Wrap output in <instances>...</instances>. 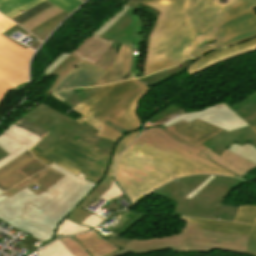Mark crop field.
Instances as JSON below:
<instances>
[{
    "mask_svg": "<svg viewBox=\"0 0 256 256\" xmlns=\"http://www.w3.org/2000/svg\"><path fill=\"white\" fill-rule=\"evenodd\" d=\"M220 132L227 133L199 119L147 129L117 159L116 179L135 203L178 177L202 173L239 177L196 155L207 148L201 142Z\"/></svg>",
    "mask_w": 256,
    "mask_h": 256,
    "instance_id": "obj_1",
    "label": "crop field"
},
{
    "mask_svg": "<svg viewBox=\"0 0 256 256\" xmlns=\"http://www.w3.org/2000/svg\"><path fill=\"white\" fill-rule=\"evenodd\" d=\"M49 167L65 176L40 195L27 187L9 199L0 195V220L45 243L93 229L103 218L84 209L97 197L109 201L124 193L114 178L104 176L96 185L81 173L77 177L55 164Z\"/></svg>",
    "mask_w": 256,
    "mask_h": 256,
    "instance_id": "obj_2",
    "label": "crop field"
},
{
    "mask_svg": "<svg viewBox=\"0 0 256 256\" xmlns=\"http://www.w3.org/2000/svg\"><path fill=\"white\" fill-rule=\"evenodd\" d=\"M142 2L161 11L150 36L144 76L182 62L197 46L214 40L221 24L256 8V0Z\"/></svg>",
    "mask_w": 256,
    "mask_h": 256,
    "instance_id": "obj_3",
    "label": "crop field"
},
{
    "mask_svg": "<svg viewBox=\"0 0 256 256\" xmlns=\"http://www.w3.org/2000/svg\"><path fill=\"white\" fill-rule=\"evenodd\" d=\"M148 90L149 87L137 79L103 86L73 108L82 114L76 121H84L98 130L101 128L99 136L117 142L123 135L103 123L108 120L130 132L139 130L137 104Z\"/></svg>",
    "mask_w": 256,
    "mask_h": 256,
    "instance_id": "obj_4",
    "label": "crop field"
},
{
    "mask_svg": "<svg viewBox=\"0 0 256 256\" xmlns=\"http://www.w3.org/2000/svg\"><path fill=\"white\" fill-rule=\"evenodd\" d=\"M203 176V178H201ZM210 175H194L177 179L162 187L155 194L177 202L173 213L203 217L207 219H217L232 221L237 207L219 204L221 200L236 186L244 181L226 176L214 177L200 192L193 198L207 200L203 202L184 198ZM223 201V200H222Z\"/></svg>",
    "mask_w": 256,
    "mask_h": 256,
    "instance_id": "obj_5",
    "label": "crop field"
},
{
    "mask_svg": "<svg viewBox=\"0 0 256 256\" xmlns=\"http://www.w3.org/2000/svg\"><path fill=\"white\" fill-rule=\"evenodd\" d=\"M142 131L143 129L123 136L117 142L112 157L98 153L96 151L99 149L79 139L76 141L66 135L43 152L35 147L30 149V151L35 157L47 165L54 162L75 175H78L80 171L87 180L98 184L104 175L114 176L116 157L119 156Z\"/></svg>",
    "mask_w": 256,
    "mask_h": 256,
    "instance_id": "obj_6",
    "label": "crop field"
},
{
    "mask_svg": "<svg viewBox=\"0 0 256 256\" xmlns=\"http://www.w3.org/2000/svg\"><path fill=\"white\" fill-rule=\"evenodd\" d=\"M198 226L186 222L184 230L177 235L149 240H132L123 249L136 254L167 248L174 252H205L217 249L245 253L249 236L210 232L198 229Z\"/></svg>",
    "mask_w": 256,
    "mask_h": 256,
    "instance_id": "obj_7",
    "label": "crop field"
},
{
    "mask_svg": "<svg viewBox=\"0 0 256 256\" xmlns=\"http://www.w3.org/2000/svg\"><path fill=\"white\" fill-rule=\"evenodd\" d=\"M23 117L50 131L49 134L35 146L42 151L60 140L59 138L65 134L76 140L80 138L100 148L98 152L105 153L109 156H111L114 151L116 143L96 136L98 130L84 122L79 124L75 120L43 103L38 104Z\"/></svg>",
    "mask_w": 256,
    "mask_h": 256,
    "instance_id": "obj_8",
    "label": "crop field"
},
{
    "mask_svg": "<svg viewBox=\"0 0 256 256\" xmlns=\"http://www.w3.org/2000/svg\"><path fill=\"white\" fill-rule=\"evenodd\" d=\"M128 9L129 8L125 5L91 37L85 39L71 54L63 53L61 57L59 56L60 58L51 64L46 72L38 79L36 84L41 83L45 77L53 75L58 76L51 89L48 90V95L80 61L85 60L92 64L98 61L113 43L112 41H107L98 37L112 26Z\"/></svg>",
    "mask_w": 256,
    "mask_h": 256,
    "instance_id": "obj_9",
    "label": "crop field"
},
{
    "mask_svg": "<svg viewBox=\"0 0 256 256\" xmlns=\"http://www.w3.org/2000/svg\"><path fill=\"white\" fill-rule=\"evenodd\" d=\"M14 22L0 14V30ZM33 51L25 49L0 33V81L13 85H18L27 81L28 63L33 55ZM12 86L0 82V103L8 89Z\"/></svg>",
    "mask_w": 256,
    "mask_h": 256,
    "instance_id": "obj_10",
    "label": "crop field"
},
{
    "mask_svg": "<svg viewBox=\"0 0 256 256\" xmlns=\"http://www.w3.org/2000/svg\"><path fill=\"white\" fill-rule=\"evenodd\" d=\"M256 36V12L252 10L223 25L217 31V41L209 45H202L192 51L187 57H199L202 54L220 46L226 47L239 43L247 38ZM186 57V58H187Z\"/></svg>",
    "mask_w": 256,
    "mask_h": 256,
    "instance_id": "obj_11",
    "label": "crop field"
},
{
    "mask_svg": "<svg viewBox=\"0 0 256 256\" xmlns=\"http://www.w3.org/2000/svg\"><path fill=\"white\" fill-rule=\"evenodd\" d=\"M181 219L200 224L199 228L211 231L250 235L246 253L256 256V206L240 207L233 220L234 222L250 223V225L202 220L191 217H181Z\"/></svg>",
    "mask_w": 256,
    "mask_h": 256,
    "instance_id": "obj_12",
    "label": "crop field"
},
{
    "mask_svg": "<svg viewBox=\"0 0 256 256\" xmlns=\"http://www.w3.org/2000/svg\"><path fill=\"white\" fill-rule=\"evenodd\" d=\"M135 10L129 9L117 23L110 27L100 37L120 42L123 44H129L132 52V67L130 73L138 76V61L140 55V36L143 30L141 18L135 16ZM134 50H137L138 55H133Z\"/></svg>",
    "mask_w": 256,
    "mask_h": 256,
    "instance_id": "obj_13",
    "label": "crop field"
},
{
    "mask_svg": "<svg viewBox=\"0 0 256 256\" xmlns=\"http://www.w3.org/2000/svg\"><path fill=\"white\" fill-rule=\"evenodd\" d=\"M196 118L219 126L227 131L247 126V124L240 119L225 103H221L195 113H187L176 116L165 122L163 125L168 127L182 119L188 123Z\"/></svg>",
    "mask_w": 256,
    "mask_h": 256,
    "instance_id": "obj_14",
    "label": "crop field"
},
{
    "mask_svg": "<svg viewBox=\"0 0 256 256\" xmlns=\"http://www.w3.org/2000/svg\"><path fill=\"white\" fill-rule=\"evenodd\" d=\"M41 139L43 138L12 123L0 135V148L10 154L0 161V168L21 155Z\"/></svg>",
    "mask_w": 256,
    "mask_h": 256,
    "instance_id": "obj_15",
    "label": "crop field"
},
{
    "mask_svg": "<svg viewBox=\"0 0 256 256\" xmlns=\"http://www.w3.org/2000/svg\"><path fill=\"white\" fill-rule=\"evenodd\" d=\"M256 50V37L224 49L211 51L194 61L186 70L190 76L221 61Z\"/></svg>",
    "mask_w": 256,
    "mask_h": 256,
    "instance_id": "obj_16",
    "label": "crop field"
},
{
    "mask_svg": "<svg viewBox=\"0 0 256 256\" xmlns=\"http://www.w3.org/2000/svg\"><path fill=\"white\" fill-rule=\"evenodd\" d=\"M106 72L107 71L99 67L81 62L74 68L69 76L61 82L54 93L70 87H90Z\"/></svg>",
    "mask_w": 256,
    "mask_h": 256,
    "instance_id": "obj_17",
    "label": "crop field"
},
{
    "mask_svg": "<svg viewBox=\"0 0 256 256\" xmlns=\"http://www.w3.org/2000/svg\"><path fill=\"white\" fill-rule=\"evenodd\" d=\"M45 0H0V12L10 19ZM68 13H72L80 4L79 0H47Z\"/></svg>",
    "mask_w": 256,
    "mask_h": 256,
    "instance_id": "obj_18",
    "label": "crop field"
},
{
    "mask_svg": "<svg viewBox=\"0 0 256 256\" xmlns=\"http://www.w3.org/2000/svg\"><path fill=\"white\" fill-rule=\"evenodd\" d=\"M235 141L241 145L248 141L256 146V134L249 126H247L228 132L227 134L220 133L202 144L211 148L216 154L221 155L222 151L227 149Z\"/></svg>",
    "mask_w": 256,
    "mask_h": 256,
    "instance_id": "obj_19",
    "label": "crop field"
},
{
    "mask_svg": "<svg viewBox=\"0 0 256 256\" xmlns=\"http://www.w3.org/2000/svg\"><path fill=\"white\" fill-rule=\"evenodd\" d=\"M198 155L213 161L223 168L241 176L248 170L256 167L255 164L225 150L221 157L217 156L213 152L210 151V149H206L203 152L199 153ZM232 164V166H231Z\"/></svg>",
    "mask_w": 256,
    "mask_h": 256,
    "instance_id": "obj_20",
    "label": "crop field"
},
{
    "mask_svg": "<svg viewBox=\"0 0 256 256\" xmlns=\"http://www.w3.org/2000/svg\"><path fill=\"white\" fill-rule=\"evenodd\" d=\"M34 158L35 157H33L29 151H26L24 154L0 169V188L3 191H6L24 180L26 177L16 173L15 171L23 167Z\"/></svg>",
    "mask_w": 256,
    "mask_h": 256,
    "instance_id": "obj_21",
    "label": "crop field"
},
{
    "mask_svg": "<svg viewBox=\"0 0 256 256\" xmlns=\"http://www.w3.org/2000/svg\"><path fill=\"white\" fill-rule=\"evenodd\" d=\"M63 175L57 173L56 171L52 170L51 168H47L46 171L39 172L29 178H31L35 183L41 186V188L37 190H33L31 187L36 185L33 182H31L29 179H26L25 181L19 183L17 186L9 189L4 195L11 197L17 192H19L24 187L30 188L34 193L37 195L40 194L42 191L46 190L48 187H50L52 184H54L57 180H59Z\"/></svg>",
    "mask_w": 256,
    "mask_h": 256,
    "instance_id": "obj_22",
    "label": "crop field"
},
{
    "mask_svg": "<svg viewBox=\"0 0 256 256\" xmlns=\"http://www.w3.org/2000/svg\"><path fill=\"white\" fill-rule=\"evenodd\" d=\"M75 237L92 256H105L119 250V248L103 241L95 230L75 235Z\"/></svg>",
    "mask_w": 256,
    "mask_h": 256,
    "instance_id": "obj_23",
    "label": "crop field"
},
{
    "mask_svg": "<svg viewBox=\"0 0 256 256\" xmlns=\"http://www.w3.org/2000/svg\"><path fill=\"white\" fill-rule=\"evenodd\" d=\"M131 67V53L129 51L128 45H123L114 63L108 68V70L116 73L111 80L106 84L114 83L117 81H122L128 74Z\"/></svg>",
    "mask_w": 256,
    "mask_h": 256,
    "instance_id": "obj_24",
    "label": "crop field"
},
{
    "mask_svg": "<svg viewBox=\"0 0 256 256\" xmlns=\"http://www.w3.org/2000/svg\"><path fill=\"white\" fill-rule=\"evenodd\" d=\"M196 59H188L182 64L178 65L175 68L163 70L159 73L152 74L148 77L140 78L141 81L148 83L150 86L157 85L183 71L190 66V64Z\"/></svg>",
    "mask_w": 256,
    "mask_h": 256,
    "instance_id": "obj_25",
    "label": "crop field"
},
{
    "mask_svg": "<svg viewBox=\"0 0 256 256\" xmlns=\"http://www.w3.org/2000/svg\"><path fill=\"white\" fill-rule=\"evenodd\" d=\"M237 113L251 126L256 124V93L243 100L240 104L233 107Z\"/></svg>",
    "mask_w": 256,
    "mask_h": 256,
    "instance_id": "obj_26",
    "label": "crop field"
},
{
    "mask_svg": "<svg viewBox=\"0 0 256 256\" xmlns=\"http://www.w3.org/2000/svg\"><path fill=\"white\" fill-rule=\"evenodd\" d=\"M68 14L66 12H61L41 25L37 26L30 32H32L38 39L44 41L46 36L59 24L61 23ZM31 33V34H32Z\"/></svg>",
    "mask_w": 256,
    "mask_h": 256,
    "instance_id": "obj_27",
    "label": "crop field"
},
{
    "mask_svg": "<svg viewBox=\"0 0 256 256\" xmlns=\"http://www.w3.org/2000/svg\"><path fill=\"white\" fill-rule=\"evenodd\" d=\"M143 217H144V215L138 214L136 217H134L131 221H129L125 226H123L115 234L111 233L108 236H102L101 234L100 235H101L102 239H104L120 248H123L131 241V239H125V238H121L119 236L122 235L124 232H126L129 228H131L134 224H136Z\"/></svg>",
    "mask_w": 256,
    "mask_h": 256,
    "instance_id": "obj_28",
    "label": "crop field"
},
{
    "mask_svg": "<svg viewBox=\"0 0 256 256\" xmlns=\"http://www.w3.org/2000/svg\"><path fill=\"white\" fill-rule=\"evenodd\" d=\"M62 11L58 7L52 5L49 8L45 9L41 13L37 14L36 16L32 17L31 19L25 21L24 23L20 24L26 30H31L37 25L41 24L42 22L46 21L47 19L51 18L55 14ZM56 16V15H55Z\"/></svg>",
    "mask_w": 256,
    "mask_h": 256,
    "instance_id": "obj_29",
    "label": "crop field"
},
{
    "mask_svg": "<svg viewBox=\"0 0 256 256\" xmlns=\"http://www.w3.org/2000/svg\"><path fill=\"white\" fill-rule=\"evenodd\" d=\"M39 256H72L59 240L37 251Z\"/></svg>",
    "mask_w": 256,
    "mask_h": 256,
    "instance_id": "obj_30",
    "label": "crop field"
},
{
    "mask_svg": "<svg viewBox=\"0 0 256 256\" xmlns=\"http://www.w3.org/2000/svg\"><path fill=\"white\" fill-rule=\"evenodd\" d=\"M99 87L95 88H76L75 91L68 97V99L64 102L71 106L72 108L77 105L80 101L86 98L89 94L95 91ZM81 93V95H78Z\"/></svg>",
    "mask_w": 256,
    "mask_h": 256,
    "instance_id": "obj_31",
    "label": "crop field"
},
{
    "mask_svg": "<svg viewBox=\"0 0 256 256\" xmlns=\"http://www.w3.org/2000/svg\"><path fill=\"white\" fill-rule=\"evenodd\" d=\"M73 256H89L86 250L71 239V236L59 239Z\"/></svg>",
    "mask_w": 256,
    "mask_h": 256,
    "instance_id": "obj_32",
    "label": "crop field"
},
{
    "mask_svg": "<svg viewBox=\"0 0 256 256\" xmlns=\"http://www.w3.org/2000/svg\"><path fill=\"white\" fill-rule=\"evenodd\" d=\"M44 168H46V166L44 164H42L41 162H39L35 158L30 163H28L26 166H24L23 168L19 169L17 172H19V173L29 177V176L33 175L34 173L43 170Z\"/></svg>",
    "mask_w": 256,
    "mask_h": 256,
    "instance_id": "obj_33",
    "label": "crop field"
},
{
    "mask_svg": "<svg viewBox=\"0 0 256 256\" xmlns=\"http://www.w3.org/2000/svg\"><path fill=\"white\" fill-rule=\"evenodd\" d=\"M50 5H52V4H50L49 2L46 1L42 4H40V5L24 12L25 14H23V15L21 14V15L15 17V18H13L12 20L20 24V23L24 22L25 20L29 19L30 17H32V16L36 15L37 13L41 12L45 8L49 7Z\"/></svg>",
    "mask_w": 256,
    "mask_h": 256,
    "instance_id": "obj_34",
    "label": "crop field"
},
{
    "mask_svg": "<svg viewBox=\"0 0 256 256\" xmlns=\"http://www.w3.org/2000/svg\"><path fill=\"white\" fill-rule=\"evenodd\" d=\"M117 49H110L106 52V55H104L98 62L95 63V65L107 69L112 62L115 60L117 53H115Z\"/></svg>",
    "mask_w": 256,
    "mask_h": 256,
    "instance_id": "obj_35",
    "label": "crop field"
},
{
    "mask_svg": "<svg viewBox=\"0 0 256 256\" xmlns=\"http://www.w3.org/2000/svg\"><path fill=\"white\" fill-rule=\"evenodd\" d=\"M14 123L17 124L18 126H21L25 129L37 134V135L43 137V138L48 133L47 131H45V130H43V129H41V128L23 120V119H20L17 122H14Z\"/></svg>",
    "mask_w": 256,
    "mask_h": 256,
    "instance_id": "obj_36",
    "label": "crop field"
},
{
    "mask_svg": "<svg viewBox=\"0 0 256 256\" xmlns=\"http://www.w3.org/2000/svg\"><path fill=\"white\" fill-rule=\"evenodd\" d=\"M178 109H181V108H179L178 106H176V105L173 103L172 105H170L169 107L165 108L164 110H162L161 112H159L157 115H155L154 117H152V118H151L150 120H148V121H150V122L153 123V122H155V121L161 119L162 117H164V116H166V115H168V114H170V113H172V112L178 110Z\"/></svg>",
    "mask_w": 256,
    "mask_h": 256,
    "instance_id": "obj_37",
    "label": "crop field"
},
{
    "mask_svg": "<svg viewBox=\"0 0 256 256\" xmlns=\"http://www.w3.org/2000/svg\"><path fill=\"white\" fill-rule=\"evenodd\" d=\"M184 113H187V112H185L184 110L181 109V110H179V111H177V112H175V113H173V114H171V115H169V116H167V117H165V118H163V119L157 121V122L154 123V124H151V123H149V122L147 121L145 127H147V126H153V125H160V124H162L163 122L169 120L170 118H172V117H174V116H176V115H179V114H184Z\"/></svg>",
    "mask_w": 256,
    "mask_h": 256,
    "instance_id": "obj_38",
    "label": "crop field"
},
{
    "mask_svg": "<svg viewBox=\"0 0 256 256\" xmlns=\"http://www.w3.org/2000/svg\"><path fill=\"white\" fill-rule=\"evenodd\" d=\"M73 90L74 89H70V91L68 92L65 90L53 96L64 102L67 99V97L73 92Z\"/></svg>",
    "mask_w": 256,
    "mask_h": 256,
    "instance_id": "obj_39",
    "label": "crop field"
},
{
    "mask_svg": "<svg viewBox=\"0 0 256 256\" xmlns=\"http://www.w3.org/2000/svg\"><path fill=\"white\" fill-rule=\"evenodd\" d=\"M114 74L107 72L100 80H98L93 86L105 84L109 79H111Z\"/></svg>",
    "mask_w": 256,
    "mask_h": 256,
    "instance_id": "obj_40",
    "label": "crop field"
},
{
    "mask_svg": "<svg viewBox=\"0 0 256 256\" xmlns=\"http://www.w3.org/2000/svg\"><path fill=\"white\" fill-rule=\"evenodd\" d=\"M104 124L108 125V126L111 127L112 129L118 131L119 133H121V134H123V135L129 133V132H127V131H125V130H123V129H121V128H119V127H117V126H115V125H113V124H111V123H109V122H107V121H106Z\"/></svg>",
    "mask_w": 256,
    "mask_h": 256,
    "instance_id": "obj_41",
    "label": "crop field"
},
{
    "mask_svg": "<svg viewBox=\"0 0 256 256\" xmlns=\"http://www.w3.org/2000/svg\"><path fill=\"white\" fill-rule=\"evenodd\" d=\"M140 1H141V0H129L128 4H127V3H126V4H127L130 8L137 9V7H138Z\"/></svg>",
    "mask_w": 256,
    "mask_h": 256,
    "instance_id": "obj_42",
    "label": "crop field"
},
{
    "mask_svg": "<svg viewBox=\"0 0 256 256\" xmlns=\"http://www.w3.org/2000/svg\"><path fill=\"white\" fill-rule=\"evenodd\" d=\"M126 253H128V252L124 251V250H119V251H117V252H115L113 254H110L108 256H121V255L126 254Z\"/></svg>",
    "mask_w": 256,
    "mask_h": 256,
    "instance_id": "obj_43",
    "label": "crop field"
},
{
    "mask_svg": "<svg viewBox=\"0 0 256 256\" xmlns=\"http://www.w3.org/2000/svg\"><path fill=\"white\" fill-rule=\"evenodd\" d=\"M7 155H8L7 153H5L3 150L0 149V159L4 158Z\"/></svg>",
    "mask_w": 256,
    "mask_h": 256,
    "instance_id": "obj_44",
    "label": "crop field"
},
{
    "mask_svg": "<svg viewBox=\"0 0 256 256\" xmlns=\"http://www.w3.org/2000/svg\"><path fill=\"white\" fill-rule=\"evenodd\" d=\"M253 129L256 131V126H253Z\"/></svg>",
    "mask_w": 256,
    "mask_h": 256,
    "instance_id": "obj_45",
    "label": "crop field"
},
{
    "mask_svg": "<svg viewBox=\"0 0 256 256\" xmlns=\"http://www.w3.org/2000/svg\"><path fill=\"white\" fill-rule=\"evenodd\" d=\"M2 192L0 191V194H1Z\"/></svg>",
    "mask_w": 256,
    "mask_h": 256,
    "instance_id": "obj_46",
    "label": "crop field"
},
{
    "mask_svg": "<svg viewBox=\"0 0 256 256\" xmlns=\"http://www.w3.org/2000/svg\"><path fill=\"white\" fill-rule=\"evenodd\" d=\"M83 1H86V0H83Z\"/></svg>",
    "mask_w": 256,
    "mask_h": 256,
    "instance_id": "obj_47",
    "label": "crop field"
}]
</instances>
